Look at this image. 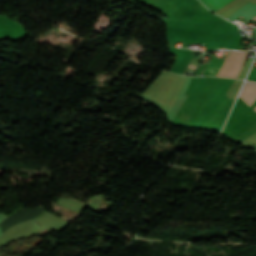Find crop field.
I'll use <instances>...</instances> for the list:
<instances>
[{
  "mask_svg": "<svg viewBox=\"0 0 256 256\" xmlns=\"http://www.w3.org/2000/svg\"><path fill=\"white\" fill-rule=\"evenodd\" d=\"M248 52L230 51L217 76L236 78Z\"/></svg>",
  "mask_w": 256,
  "mask_h": 256,
  "instance_id": "obj_1",
  "label": "crop field"
},
{
  "mask_svg": "<svg viewBox=\"0 0 256 256\" xmlns=\"http://www.w3.org/2000/svg\"><path fill=\"white\" fill-rule=\"evenodd\" d=\"M238 97L250 107L256 99V83L245 82Z\"/></svg>",
  "mask_w": 256,
  "mask_h": 256,
  "instance_id": "obj_2",
  "label": "crop field"
},
{
  "mask_svg": "<svg viewBox=\"0 0 256 256\" xmlns=\"http://www.w3.org/2000/svg\"><path fill=\"white\" fill-rule=\"evenodd\" d=\"M214 6H216L218 9L221 8L223 5H225L230 0H207ZM232 1V0H231Z\"/></svg>",
  "mask_w": 256,
  "mask_h": 256,
  "instance_id": "obj_3",
  "label": "crop field"
},
{
  "mask_svg": "<svg viewBox=\"0 0 256 256\" xmlns=\"http://www.w3.org/2000/svg\"><path fill=\"white\" fill-rule=\"evenodd\" d=\"M254 20H256V17L254 18Z\"/></svg>",
  "mask_w": 256,
  "mask_h": 256,
  "instance_id": "obj_4",
  "label": "crop field"
},
{
  "mask_svg": "<svg viewBox=\"0 0 256 256\" xmlns=\"http://www.w3.org/2000/svg\"><path fill=\"white\" fill-rule=\"evenodd\" d=\"M255 111H256V107H255Z\"/></svg>",
  "mask_w": 256,
  "mask_h": 256,
  "instance_id": "obj_5",
  "label": "crop field"
}]
</instances>
